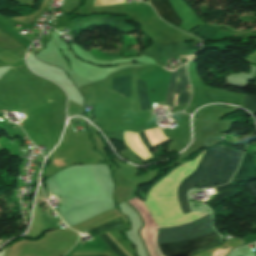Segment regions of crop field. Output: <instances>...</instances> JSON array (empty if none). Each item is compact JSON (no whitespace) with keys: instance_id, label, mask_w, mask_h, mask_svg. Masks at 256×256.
<instances>
[{"instance_id":"obj_1","label":"crop field","mask_w":256,"mask_h":256,"mask_svg":"<svg viewBox=\"0 0 256 256\" xmlns=\"http://www.w3.org/2000/svg\"><path fill=\"white\" fill-rule=\"evenodd\" d=\"M240 154V150L236 151L225 145L208 149L204 152V155L201 153L194 160L173 169L169 175L153 186L146 198V202H143L153 216L154 226L152 234L204 214L191 212L186 192L204 181L207 182L199 185L197 189L227 183L238 165ZM202 155L203 158L199 164ZM196 168L197 170L195 171ZM193 171L195 172L192 173ZM182 180L184 181L179 186ZM178 186V201L183 214L191 212L185 216H183L177 201ZM211 228V216L210 213H207L195 220L160 231L152 236L158 249L172 243L183 241ZM219 241L220 236L212 229L183 242L158 249L157 251L159 256H191L195 252L218 245L217 243Z\"/></svg>"},{"instance_id":"obj_2","label":"crop field","mask_w":256,"mask_h":256,"mask_svg":"<svg viewBox=\"0 0 256 256\" xmlns=\"http://www.w3.org/2000/svg\"><path fill=\"white\" fill-rule=\"evenodd\" d=\"M178 70L179 69L174 71L172 74V79H171V84H170V89H169L166 105H172V103H173V97H174V92H175L177 76H178ZM186 85H190V84H189V82L187 80V76H186V65H184L179 70V76H178V81H177L175 97H176V93H180V96H179V94H177L176 103H175V97H174L175 106L177 104L178 96H179V100H178L177 106H183V105L187 104L190 94H191V89H187ZM174 103H173V105H174Z\"/></svg>"},{"instance_id":"obj_3","label":"crop field","mask_w":256,"mask_h":256,"mask_svg":"<svg viewBox=\"0 0 256 256\" xmlns=\"http://www.w3.org/2000/svg\"><path fill=\"white\" fill-rule=\"evenodd\" d=\"M149 2V1H148ZM157 14L167 22L178 26L180 18L169 5L168 0H150ZM150 4V3H149Z\"/></svg>"},{"instance_id":"obj_4","label":"crop field","mask_w":256,"mask_h":256,"mask_svg":"<svg viewBox=\"0 0 256 256\" xmlns=\"http://www.w3.org/2000/svg\"><path fill=\"white\" fill-rule=\"evenodd\" d=\"M253 177H256V168L252 159V154L245 153L243 162L231 182H236V179H247Z\"/></svg>"},{"instance_id":"obj_5","label":"crop field","mask_w":256,"mask_h":256,"mask_svg":"<svg viewBox=\"0 0 256 256\" xmlns=\"http://www.w3.org/2000/svg\"><path fill=\"white\" fill-rule=\"evenodd\" d=\"M216 190H217L218 194L211 195L210 199L208 201H206L207 202V206H209L211 209L218 202H220L223 199L227 198L228 196L234 195V194H236L238 192L236 186L233 185V184H230V183L228 185H225V186L217 187Z\"/></svg>"},{"instance_id":"obj_6","label":"crop field","mask_w":256,"mask_h":256,"mask_svg":"<svg viewBox=\"0 0 256 256\" xmlns=\"http://www.w3.org/2000/svg\"><path fill=\"white\" fill-rule=\"evenodd\" d=\"M130 77H120L113 79L112 90L120 93L125 97L130 96Z\"/></svg>"},{"instance_id":"obj_7","label":"crop field","mask_w":256,"mask_h":256,"mask_svg":"<svg viewBox=\"0 0 256 256\" xmlns=\"http://www.w3.org/2000/svg\"><path fill=\"white\" fill-rule=\"evenodd\" d=\"M99 237L106 243V245L117 255V256H128L123 249L108 235L102 234Z\"/></svg>"},{"instance_id":"obj_8","label":"crop field","mask_w":256,"mask_h":256,"mask_svg":"<svg viewBox=\"0 0 256 256\" xmlns=\"http://www.w3.org/2000/svg\"><path fill=\"white\" fill-rule=\"evenodd\" d=\"M137 87L142 110L150 109L145 83L138 80Z\"/></svg>"},{"instance_id":"obj_9","label":"crop field","mask_w":256,"mask_h":256,"mask_svg":"<svg viewBox=\"0 0 256 256\" xmlns=\"http://www.w3.org/2000/svg\"><path fill=\"white\" fill-rule=\"evenodd\" d=\"M243 104L253 112H256V96L255 95H245Z\"/></svg>"},{"instance_id":"obj_10","label":"crop field","mask_w":256,"mask_h":256,"mask_svg":"<svg viewBox=\"0 0 256 256\" xmlns=\"http://www.w3.org/2000/svg\"><path fill=\"white\" fill-rule=\"evenodd\" d=\"M139 136L141 138L142 143L149 149H153L152 144L150 143L149 139L147 138V136L145 135L144 131L142 132H138Z\"/></svg>"},{"instance_id":"obj_11","label":"crop field","mask_w":256,"mask_h":256,"mask_svg":"<svg viewBox=\"0 0 256 256\" xmlns=\"http://www.w3.org/2000/svg\"><path fill=\"white\" fill-rule=\"evenodd\" d=\"M8 42H14V40L10 36L4 35L2 32H0V44Z\"/></svg>"},{"instance_id":"obj_12","label":"crop field","mask_w":256,"mask_h":256,"mask_svg":"<svg viewBox=\"0 0 256 256\" xmlns=\"http://www.w3.org/2000/svg\"><path fill=\"white\" fill-rule=\"evenodd\" d=\"M61 223V222H60ZM59 224V223H58Z\"/></svg>"}]
</instances>
